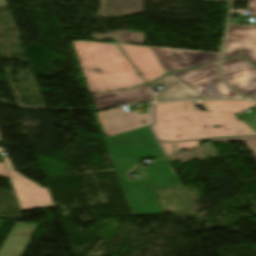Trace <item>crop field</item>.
<instances>
[{"mask_svg":"<svg viewBox=\"0 0 256 256\" xmlns=\"http://www.w3.org/2000/svg\"><path fill=\"white\" fill-rule=\"evenodd\" d=\"M38 227L37 224L16 223L0 249V256H22Z\"/></svg>","mask_w":256,"mask_h":256,"instance_id":"crop-field-12","label":"crop field"},{"mask_svg":"<svg viewBox=\"0 0 256 256\" xmlns=\"http://www.w3.org/2000/svg\"><path fill=\"white\" fill-rule=\"evenodd\" d=\"M17 199L22 209L53 207L48 190L15 172L8 157L4 158Z\"/></svg>","mask_w":256,"mask_h":256,"instance_id":"crop-field-6","label":"crop field"},{"mask_svg":"<svg viewBox=\"0 0 256 256\" xmlns=\"http://www.w3.org/2000/svg\"><path fill=\"white\" fill-rule=\"evenodd\" d=\"M199 103L205 107V112L194 108L192 101L155 104V125L152 129L158 140L179 141L256 135V132L243 121H238L234 115L255 106L256 102L214 100Z\"/></svg>","mask_w":256,"mask_h":256,"instance_id":"crop-field-2","label":"crop field"},{"mask_svg":"<svg viewBox=\"0 0 256 256\" xmlns=\"http://www.w3.org/2000/svg\"><path fill=\"white\" fill-rule=\"evenodd\" d=\"M166 73L205 64L218 59L219 53L151 47Z\"/></svg>","mask_w":256,"mask_h":256,"instance_id":"crop-field-7","label":"crop field"},{"mask_svg":"<svg viewBox=\"0 0 256 256\" xmlns=\"http://www.w3.org/2000/svg\"><path fill=\"white\" fill-rule=\"evenodd\" d=\"M217 63L218 61L200 68L173 72V75L182 80L205 99H245L222 82L218 74Z\"/></svg>","mask_w":256,"mask_h":256,"instance_id":"crop-field-4","label":"crop field"},{"mask_svg":"<svg viewBox=\"0 0 256 256\" xmlns=\"http://www.w3.org/2000/svg\"><path fill=\"white\" fill-rule=\"evenodd\" d=\"M254 99H256V97H254Z\"/></svg>","mask_w":256,"mask_h":256,"instance_id":"crop-field-20","label":"crop field"},{"mask_svg":"<svg viewBox=\"0 0 256 256\" xmlns=\"http://www.w3.org/2000/svg\"><path fill=\"white\" fill-rule=\"evenodd\" d=\"M249 17H256V0H249Z\"/></svg>","mask_w":256,"mask_h":256,"instance_id":"crop-field-17","label":"crop field"},{"mask_svg":"<svg viewBox=\"0 0 256 256\" xmlns=\"http://www.w3.org/2000/svg\"><path fill=\"white\" fill-rule=\"evenodd\" d=\"M152 96L147 86L144 85L130 90L94 95L92 97L95 102L96 108L101 109L106 107L118 106L121 104H131L135 102H145L153 100Z\"/></svg>","mask_w":256,"mask_h":256,"instance_id":"crop-field-11","label":"crop field"},{"mask_svg":"<svg viewBox=\"0 0 256 256\" xmlns=\"http://www.w3.org/2000/svg\"><path fill=\"white\" fill-rule=\"evenodd\" d=\"M248 118L243 120L247 123L253 130L256 131V109L246 115Z\"/></svg>","mask_w":256,"mask_h":256,"instance_id":"crop-field-16","label":"crop field"},{"mask_svg":"<svg viewBox=\"0 0 256 256\" xmlns=\"http://www.w3.org/2000/svg\"><path fill=\"white\" fill-rule=\"evenodd\" d=\"M149 85L164 86V90L158 93L156 102L184 99H204L171 73L158 81L150 83Z\"/></svg>","mask_w":256,"mask_h":256,"instance_id":"crop-field-13","label":"crop field"},{"mask_svg":"<svg viewBox=\"0 0 256 256\" xmlns=\"http://www.w3.org/2000/svg\"><path fill=\"white\" fill-rule=\"evenodd\" d=\"M148 114L137 111L125 113L122 107L96 113L105 136H113L152 124V106H147ZM145 121V124H141Z\"/></svg>","mask_w":256,"mask_h":256,"instance_id":"crop-field-5","label":"crop field"},{"mask_svg":"<svg viewBox=\"0 0 256 256\" xmlns=\"http://www.w3.org/2000/svg\"><path fill=\"white\" fill-rule=\"evenodd\" d=\"M0 139H1V138H0ZM2 150H4V149H1V148H0V152H1ZM0 176H1V177L8 178L4 164H0Z\"/></svg>","mask_w":256,"mask_h":256,"instance_id":"crop-field-18","label":"crop field"},{"mask_svg":"<svg viewBox=\"0 0 256 256\" xmlns=\"http://www.w3.org/2000/svg\"><path fill=\"white\" fill-rule=\"evenodd\" d=\"M209 141H244L248 146L252 154L256 158V136L253 137H240V138H228V139H215Z\"/></svg>","mask_w":256,"mask_h":256,"instance_id":"crop-field-15","label":"crop field"},{"mask_svg":"<svg viewBox=\"0 0 256 256\" xmlns=\"http://www.w3.org/2000/svg\"><path fill=\"white\" fill-rule=\"evenodd\" d=\"M242 55L256 65V26L230 23L223 59Z\"/></svg>","mask_w":256,"mask_h":256,"instance_id":"crop-field-9","label":"crop field"},{"mask_svg":"<svg viewBox=\"0 0 256 256\" xmlns=\"http://www.w3.org/2000/svg\"><path fill=\"white\" fill-rule=\"evenodd\" d=\"M222 72L238 92L253 98L256 96V67L243 57L222 61Z\"/></svg>","mask_w":256,"mask_h":256,"instance_id":"crop-field-8","label":"crop field"},{"mask_svg":"<svg viewBox=\"0 0 256 256\" xmlns=\"http://www.w3.org/2000/svg\"><path fill=\"white\" fill-rule=\"evenodd\" d=\"M133 216L162 214L152 189L182 186L167 159L151 162L148 180L127 182L125 173L141 159L164 157L149 128L103 139Z\"/></svg>","mask_w":256,"mask_h":256,"instance_id":"crop-field-1","label":"crop field"},{"mask_svg":"<svg viewBox=\"0 0 256 256\" xmlns=\"http://www.w3.org/2000/svg\"><path fill=\"white\" fill-rule=\"evenodd\" d=\"M118 45L126 53L147 83L166 74L150 47L127 44Z\"/></svg>","mask_w":256,"mask_h":256,"instance_id":"crop-field-10","label":"crop field"},{"mask_svg":"<svg viewBox=\"0 0 256 256\" xmlns=\"http://www.w3.org/2000/svg\"><path fill=\"white\" fill-rule=\"evenodd\" d=\"M256 107V106H255ZM254 108V107H253ZM250 109H252V108H250ZM249 110V109H248ZM247 111V110H246ZM244 112V111H243Z\"/></svg>","mask_w":256,"mask_h":256,"instance_id":"crop-field-19","label":"crop field"},{"mask_svg":"<svg viewBox=\"0 0 256 256\" xmlns=\"http://www.w3.org/2000/svg\"><path fill=\"white\" fill-rule=\"evenodd\" d=\"M92 94L144 83L116 44L74 41Z\"/></svg>","mask_w":256,"mask_h":256,"instance_id":"crop-field-3","label":"crop field"},{"mask_svg":"<svg viewBox=\"0 0 256 256\" xmlns=\"http://www.w3.org/2000/svg\"><path fill=\"white\" fill-rule=\"evenodd\" d=\"M200 141H204V140L186 141V142H180V143H163V142H160V144L163 147L166 155L169 156V155L173 154L172 151H171V149H173L171 144H176L178 148L188 150L190 148H193V147L199 145Z\"/></svg>","mask_w":256,"mask_h":256,"instance_id":"crop-field-14","label":"crop field"}]
</instances>
